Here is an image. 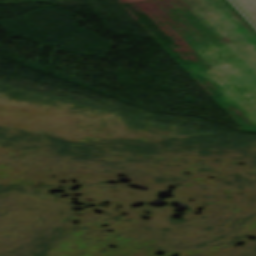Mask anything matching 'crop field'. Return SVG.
<instances>
[{
  "label": "crop field",
  "mask_w": 256,
  "mask_h": 256,
  "mask_svg": "<svg viewBox=\"0 0 256 256\" xmlns=\"http://www.w3.org/2000/svg\"><path fill=\"white\" fill-rule=\"evenodd\" d=\"M256 72V49L208 0H186Z\"/></svg>",
  "instance_id": "crop-field-1"
},
{
  "label": "crop field",
  "mask_w": 256,
  "mask_h": 256,
  "mask_svg": "<svg viewBox=\"0 0 256 256\" xmlns=\"http://www.w3.org/2000/svg\"><path fill=\"white\" fill-rule=\"evenodd\" d=\"M256 24V0H233Z\"/></svg>",
  "instance_id": "crop-field-2"
}]
</instances>
